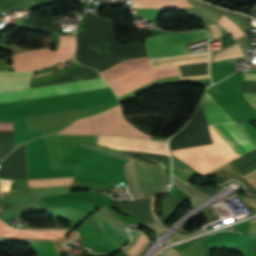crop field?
Masks as SVG:
<instances>
[{
  "instance_id": "obj_14",
  "label": "crop field",
  "mask_w": 256,
  "mask_h": 256,
  "mask_svg": "<svg viewBox=\"0 0 256 256\" xmlns=\"http://www.w3.org/2000/svg\"><path fill=\"white\" fill-rule=\"evenodd\" d=\"M243 95L256 110V93H243Z\"/></svg>"
},
{
  "instance_id": "obj_10",
  "label": "crop field",
  "mask_w": 256,
  "mask_h": 256,
  "mask_svg": "<svg viewBox=\"0 0 256 256\" xmlns=\"http://www.w3.org/2000/svg\"><path fill=\"white\" fill-rule=\"evenodd\" d=\"M132 7L145 9H176V7H194L186 0H133Z\"/></svg>"
},
{
  "instance_id": "obj_3",
  "label": "crop field",
  "mask_w": 256,
  "mask_h": 256,
  "mask_svg": "<svg viewBox=\"0 0 256 256\" xmlns=\"http://www.w3.org/2000/svg\"><path fill=\"white\" fill-rule=\"evenodd\" d=\"M81 147L128 161L123 168L128 188L133 198L156 195L168 185L162 166L141 161L95 145Z\"/></svg>"
},
{
  "instance_id": "obj_4",
  "label": "crop field",
  "mask_w": 256,
  "mask_h": 256,
  "mask_svg": "<svg viewBox=\"0 0 256 256\" xmlns=\"http://www.w3.org/2000/svg\"><path fill=\"white\" fill-rule=\"evenodd\" d=\"M147 61V57L122 61L117 65L100 72L99 74L105 80H107L134 67H137ZM178 74L179 73L175 65L151 70L149 63L147 62L113 79L107 80V83L111 86L117 96H121L145 83Z\"/></svg>"
},
{
  "instance_id": "obj_8",
  "label": "crop field",
  "mask_w": 256,
  "mask_h": 256,
  "mask_svg": "<svg viewBox=\"0 0 256 256\" xmlns=\"http://www.w3.org/2000/svg\"><path fill=\"white\" fill-rule=\"evenodd\" d=\"M98 143L118 150L168 153L167 142L163 141L98 136Z\"/></svg>"
},
{
  "instance_id": "obj_2",
  "label": "crop field",
  "mask_w": 256,
  "mask_h": 256,
  "mask_svg": "<svg viewBox=\"0 0 256 256\" xmlns=\"http://www.w3.org/2000/svg\"><path fill=\"white\" fill-rule=\"evenodd\" d=\"M30 73H0V92L30 88ZM110 89L102 78L0 93V104Z\"/></svg>"
},
{
  "instance_id": "obj_5",
  "label": "crop field",
  "mask_w": 256,
  "mask_h": 256,
  "mask_svg": "<svg viewBox=\"0 0 256 256\" xmlns=\"http://www.w3.org/2000/svg\"><path fill=\"white\" fill-rule=\"evenodd\" d=\"M60 132L88 135L127 136L148 139L151 138L150 136L139 132L136 128L126 122L121 117L120 107H115L104 113L79 120L70 125L67 129Z\"/></svg>"
},
{
  "instance_id": "obj_9",
  "label": "crop field",
  "mask_w": 256,
  "mask_h": 256,
  "mask_svg": "<svg viewBox=\"0 0 256 256\" xmlns=\"http://www.w3.org/2000/svg\"><path fill=\"white\" fill-rule=\"evenodd\" d=\"M200 106L205 114L208 124L231 120V118L225 113V111L218 105V103L210 96L207 91Z\"/></svg>"
},
{
  "instance_id": "obj_20",
  "label": "crop field",
  "mask_w": 256,
  "mask_h": 256,
  "mask_svg": "<svg viewBox=\"0 0 256 256\" xmlns=\"http://www.w3.org/2000/svg\"><path fill=\"white\" fill-rule=\"evenodd\" d=\"M114 184H117V183H114Z\"/></svg>"
},
{
  "instance_id": "obj_19",
  "label": "crop field",
  "mask_w": 256,
  "mask_h": 256,
  "mask_svg": "<svg viewBox=\"0 0 256 256\" xmlns=\"http://www.w3.org/2000/svg\"><path fill=\"white\" fill-rule=\"evenodd\" d=\"M0 130H13L12 123H0Z\"/></svg>"
},
{
  "instance_id": "obj_11",
  "label": "crop field",
  "mask_w": 256,
  "mask_h": 256,
  "mask_svg": "<svg viewBox=\"0 0 256 256\" xmlns=\"http://www.w3.org/2000/svg\"><path fill=\"white\" fill-rule=\"evenodd\" d=\"M66 231H30V230H16L7 234L5 237H24V238H41L53 239L64 237Z\"/></svg>"
},
{
  "instance_id": "obj_15",
  "label": "crop field",
  "mask_w": 256,
  "mask_h": 256,
  "mask_svg": "<svg viewBox=\"0 0 256 256\" xmlns=\"http://www.w3.org/2000/svg\"><path fill=\"white\" fill-rule=\"evenodd\" d=\"M14 229L9 228L8 226L4 225L1 221H0V236L12 231Z\"/></svg>"
},
{
  "instance_id": "obj_18",
  "label": "crop field",
  "mask_w": 256,
  "mask_h": 256,
  "mask_svg": "<svg viewBox=\"0 0 256 256\" xmlns=\"http://www.w3.org/2000/svg\"><path fill=\"white\" fill-rule=\"evenodd\" d=\"M244 80L256 81V73H244Z\"/></svg>"
},
{
  "instance_id": "obj_7",
  "label": "crop field",
  "mask_w": 256,
  "mask_h": 256,
  "mask_svg": "<svg viewBox=\"0 0 256 256\" xmlns=\"http://www.w3.org/2000/svg\"><path fill=\"white\" fill-rule=\"evenodd\" d=\"M209 37L207 32L160 34L144 39L148 59H159L188 54L184 44Z\"/></svg>"
},
{
  "instance_id": "obj_16",
  "label": "crop field",
  "mask_w": 256,
  "mask_h": 256,
  "mask_svg": "<svg viewBox=\"0 0 256 256\" xmlns=\"http://www.w3.org/2000/svg\"><path fill=\"white\" fill-rule=\"evenodd\" d=\"M165 256H182L177 250L169 249L162 253Z\"/></svg>"
},
{
  "instance_id": "obj_6",
  "label": "crop field",
  "mask_w": 256,
  "mask_h": 256,
  "mask_svg": "<svg viewBox=\"0 0 256 256\" xmlns=\"http://www.w3.org/2000/svg\"><path fill=\"white\" fill-rule=\"evenodd\" d=\"M59 46L60 49L56 51L44 48L20 52L9 58L13 60L12 65L15 71L36 70L71 57L75 48L74 37L60 36Z\"/></svg>"
},
{
  "instance_id": "obj_1",
  "label": "crop field",
  "mask_w": 256,
  "mask_h": 256,
  "mask_svg": "<svg viewBox=\"0 0 256 256\" xmlns=\"http://www.w3.org/2000/svg\"><path fill=\"white\" fill-rule=\"evenodd\" d=\"M211 126L239 156L256 147V129L247 122L239 125L230 121ZM211 126L208 125L213 144L187 148V150L215 169L235 159L238 155ZM187 150H175L172 151V155L200 174L205 175L214 170Z\"/></svg>"
},
{
  "instance_id": "obj_17",
  "label": "crop field",
  "mask_w": 256,
  "mask_h": 256,
  "mask_svg": "<svg viewBox=\"0 0 256 256\" xmlns=\"http://www.w3.org/2000/svg\"><path fill=\"white\" fill-rule=\"evenodd\" d=\"M251 184L256 183V170L244 176Z\"/></svg>"
},
{
  "instance_id": "obj_12",
  "label": "crop field",
  "mask_w": 256,
  "mask_h": 256,
  "mask_svg": "<svg viewBox=\"0 0 256 256\" xmlns=\"http://www.w3.org/2000/svg\"><path fill=\"white\" fill-rule=\"evenodd\" d=\"M224 25H226L234 34L237 38L245 35L237 26H235L225 15L222 14V16L219 19ZM220 21H218V23H220L221 26L225 27L232 35L235 39H237L234 34L226 27L224 26ZM224 28V29H225ZM225 29V30H226ZM230 34V35H231ZM231 35V36H232ZM234 39V40H235Z\"/></svg>"
},
{
  "instance_id": "obj_13",
  "label": "crop field",
  "mask_w": 256,
  "mask_h": 256,
  "mask_svg": "<svg viewBox=\"0 0 256 256\" xmlns=\"http://www.w3.org/2000/svg\"><path fill=\"white\" fill-rule=\"evenodd\" d=\"M243 202L251 210L253 214H256V199L250 198L243 200Z\"/></svg>"
}]
</instances>
